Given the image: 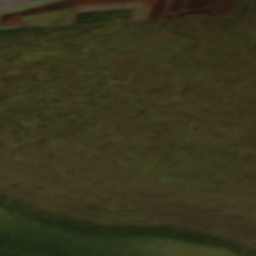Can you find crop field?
<instances>
[{
    "mask_svg": "<svg viewBox=\"0 0 256 256\" xmlns=\"http://www.w3.org/2000/svg\"><path fill=\"white\" fill-rule=\"evenodd\" d=\"M61 0H0V15Z\"/></svg>",
    "mask_w": 256,
    "mask_h": 256,
    "instance_id": "8a807250",
    "label": "crop field"
}]
</instances>
